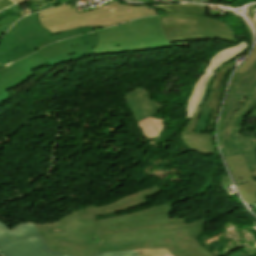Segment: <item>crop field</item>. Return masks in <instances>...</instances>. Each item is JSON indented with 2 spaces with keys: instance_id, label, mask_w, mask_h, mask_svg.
<instances>
[{
  "instance_id": "1",
  "label": "crop field",
  "mask_w": 256,
  "mask_h": 256,
  "mask_svg": "<svg viewBox=\"0 0 256 256\" xmlns=\"http://www.w3.org/2000/svg\"><path fill=\"white\" fill-rule=\"evenodd\" d=\"M159 192L161 190L156 186L105 206H90L72 211L54 223L34 224L51 250L74 256H93L100 245L96 216L147 204L145 198Z\"/></svg>"
},
{
  "instance_id": "2",
  "label": "crop field",
  "mask_w": 256,
  "mask_h": 256,
  "mask_svg": "<svg viewBox=\"0 0 256 256\" xmlns=\"http://www.w3.org/2000/svg\"><path fill=\"white\" fill-rule=\"evenodd\" d=\"M246 114L256 116V60L245 75L235 74L218 128L224 157L242 153L256 179V137L240 133L247 121Z\"/></svg>"
},
{
  "instance_id": "3",
  "label": "crop field",
  "mask_w": 256,
  "mask_h": 256,
  "mask_svg": "<svg viewBox=\"0 0 256 256\" xmlns=\"http://www.w3.org/2000/svg\"><path fill=\"white\" fill-rule=\"evenodd\" d=\"M205 221L103 233L96 253L167 247L174 256H214L194 238L204 231Z\"/></svg>"
},
{
  "instance_id": "4",
  "label": "crop field",
  "mask_w": 256,
  "mask_h": 256,
  "mask_svg": "<svg viewBox=\"0 0 256 256\" xmlns=\"http://www.w3.org/2000/svg\"><path fill=\"white\" fill-rule=\"evenodd\" d=\"M97 39L98 36L93 33L80 35L73 39L43 47L35 54L26 57L7 68L0 65V103L12 96L7 90L22 84L27 79L35 76L30 69L48 61L52 67H54L68 63L74 57L94 55L90 46H95ZM21 66H23V68H21Z\"/></svg>"
},
{
  "instance_id": "5",
  "label": "crop field",
  "mask_w": 256,
  "mask_h": 256,
  "mask_svg": "<svg viewBox=\"0 0 256 256\" xmlns=\"http://www.w3.org/2000/svg\"><path fill=\"white\" fill-rule=\"evenodd\" d=\"M107 7V8H105ZM157 15L145 7H129L120 1L77 15L74 3L61 5L43 12L38 17L42 27L52 35L80 27H109L123 21L143 16Z\"/></svg>"
},
{
  "instance_id": "6",
  "label": "crop field",
  "mask_w": 256,
  "mask_h": 256,
  "mask_svg": "<svg viewBox=\"0 0 256 256\" xmlns=\"http://www.w3.org/2000/svg\"><path fill=\"white\" fill-rule=\"evenodd\" d=\"M94 33L100 36L99 44L94 48L99 55L171 47L160 25L145 26L142 18Z\"/></svg>"
},
{
  "instance_id": "7",
  "label": "crop field",
  "mask_w": 256,
  "mask_h": 256,
  "mask_svg": "<svg viewBox=\"0 0 256 256\" xmlns=\"http://www.w3.org/2000/svg\"><path fill=\"white\" fill-rule=\"evenodd\" d=\"M169 43L219 38L237 43L236 35L218 19L191 14L166 13L160 16Z\"/></svg>"
},
{
  "instance_id": "8",
  "label": "crop field",
  "mask_w": 256,
  "mask_h": 256,
  "mask_svg": "<svg viewBox=\"0 0 256 256\" xmlns=\"http://www.w3.org/2000/svg\"><path fill=\"white\" fill-rule=\"evenodd\" d=\"M36 14L19 20L0 41V63L16 61L33 53L40 47L55 42V39L40 28Z\"/></svg>"
},
{
  "instance_id": "9",
  "label": "crop field",
  "mask_w": 256,
  "mask_h": 256,
  "mask_svg": "<svg viewBox=\"0 0 256 256\" xmlns=\"http://www.w3.org/2000/svg\"><path fill=\"white\" fill-rule=\"evenodd\" d=\"M0 254L3 256H70L51 251L33 222H17L10 230L1 220Z\"/></svg>"
},
{
  "instance_id": "10",
  "label": "crop field",
  "mask_w": 256,
  "mask_h": 256,
  "mask_svg": "<svg viewBox=\"0 0 256 256\" xmlns=\"http://www.w3.org/2000/svg\"><path fill=\"white\" fill-rule=\"evenodd\" d=\"M170 203L145 211L133 212L126 215L97 220L100 233L141 228L155 225H163L181 222L187 224L184 219H170Z\"/></svg>"
},
{
  "instance_id": "11",
  "label": "crop field",
  "mask_w": 256,
  "mask_h": 256,
  "mask_svg": "<svg viewBox=\"0 0 256 256\" xmlns=\"http://www.w3.org/2000/svg\"><path fill=\"white\" fill-rule=\"evenodd\" d=\"M225 159L245 202L248 205L256 203V182L249 172L242 155Z\"/></svg>"
},
{
  "instance_id": "12",
  "label": "crop field",
  "mask_w": 256,
  "mask_h": 256,
  "mask_svg": "<svg viewBox=\"0 0 256 256\" xmlns=\"http://www.w3.org/2000/svg\"><path fill=\"white\" fill-rule=\"evenodd\" d=\"M148 97L149 92L140 87L128 93L125 98L130 112L137 123L163 109L161 105L149 101Z\"/></svg>"
},
{
  "instance_id": "13",
  "label": "crop field",
  "mask_w": 256,
  "mask_h": 256,
  "mask_svg": "<svg viewBox=\"0 0 256 256\" xmlns=\"http://www.w3.org/2000/svg\"><path fill=\"white\" fill-rule=\"evenodd\" d=\"M232 69H233L232 67L226 65L225 68L219 69L214 77L213 84L210 89H215V90L209 106V108L213 109V111H212L207 132H213L216 117L218 114V108L222 98V93L225 87V82L228 78L229 73L232 71Z\"/></svg>"
},
{
  "instance_id": "14",
  "label": "crop field",
  "mask_w": 256,
  "mask_h": 256,
  "mask_svg": "<svg viewBox=\"0 0 256 256\" xmlns=\"http://www.w3.org/2000/svg\"><path fill=\"white\" fill-rule=\"evenodd\" d=\"M214 74H213V76H214ZM213 76L209 79V81L206 85V90H205L203 99H202V101L199 105V106H202L203 108H202V110L200 112V116L198 118V122H197V125H196V128H195V133L206 132V129H207L208 121H209L210 114H211V111H212V110H209L207 108H208V105H209L210 98L213 94V90H209V88L212 84Z\"/></svg>"
},
{
  "instance_id": "15",
  "label": "crop field",
  "mask_w": 256,
  "mask_h": 256,
  "mask_svg": "<svg viewBox=\"0 0 256 256\" xmlns=\"http://www.w3.org/2000/svg\"><path fill=\"white\" fill-rule=\"evenodd\" d=\"M249 46L246 45L244 42L235 45L231 48L224 49L218 53L215 54V57L211 59V63L207 69H205L204 72H210L216 69L220 64L232 59L236 55L240 54L244 50H246Z\"/></svg>"
},
{
  "instance_id": "16",
  "label": "crop field",
  "mask_w": 256,
  "mask_h": 256,
  "mask_svg": "<svg viewBox=\"0 0 256 256\" xmlns=\"http://www.w3.org/2000/svg\"><path fill=\"white\" fill-rule=\"evenodd\" d=\"M211 74L212 73L202 75L200 79L196 82L194 86V90L187 101V117H186L187 120L193 116L194 111L202 96L206 81L208 80Z\"/></svg>"
},
{
  "instance_id": "17",
  "label": "crop field",
  "mask_w": 256,
  "mask_h": 256,
  "mask_svg": "<svg viewBox=\"0 0 256 256\" xmlns=\"http://www.w3.org/2000/svg\"><path fill=\"white\" fill-rule=\"evenodd\" d=\"M155 8L164 10L166 12H181V13H192L204 16L205 6L200 5H161L154 6Z\"/></svg>"
},
{
  "instance_id": "18",
  "label": "crop field",
  "mask_w": 256,
  "mask_h": 256,
  "mask_svg": "<svg viewBox=\"0 0 256 256\" xmlns=\"http://www.w3.org/2000/svg\"><path fill=\"white\" fill-rule=\"evenodd\" d=\"M137 251L139 256H173L166 248H152Z\"/></svg>"
},
{
  "instance_id": "19",
  "label": "crop field",
  "mask_w": 256,
  "mask_h": 256,
  "mask_svg": "<svg viewBox=\"0 0 256 256\" xmlns=\"http://www.w3.org/2000/svg\"><path fill=\"white\" fill-rule=\"evenodd\" d=\"M90 31H92L91 27L90 28H81V29L70 31V32L54 35V37L56 38L57 41H60V40L70 38V37H73V36H76L79 34H83L86 32H90Z\"/></svg>"
},
{
  "instance_id": "20",
  "label": "crop field",
  "mask_w": 256,
  "mask_h": 256,
  "mask_svg": "<svg viewBox=\"0 0 256 256\" xmlns=\"http://www.w3.org/2000/svg\"><path fill=\"white\" fill-rule=\"evenodd\" d=\"M94 256H138L136 250L95 254Z\"/></svg>"
},
{
  "instance_id": "21",
  "label": "crop field",
  "mask_w": 256,
  "mask_h": 256,
  "mask_svg": "<svg viewBox=\"0 0 256 256\" xmlns=\"http://www.w3.org/2000/svg\"><path fill=\"white\" fill-rule=\"evenodd\" d=\"M255 58H256V47L252 52L251 56L247 59V61L244 64H242L241 67L238 69V72L244 74L245 71L249 68V66L253 63Z\"/></svg>"
},
{
  "instance_id": "22",
  "label": "crop field",
  "mask_w": 256,
  "mask_h": 256,
  "mask_svg": "<svg viewBox=\"0 0 256 256\" xmlns=\"http://www.w3.org/2000/svg\"><path fill=\"white\" fill-rule=\"evenodd\" d=\"M13 20H19L18 17L7 16L0 20V25L13 23Z\"/></svg>"
},
{
  "instance_id": "23",
  "label": "crop field",
  "mask_w": 256,
  "mask_h": 256,
  "mask_svg": "<svg viewBox=\"0 0 256 256\" xmlns=\"http://www.w3.org/2000/svg\"><path fill=\"white\" fill-rule=\"evenodd\" d=\"M146 25L159 23L158 16L143 18Z\"/></svg>"
},
{
  "instance_id": "24",
  "label": "crop field",
  "mask_w": 256,
  "mask_h": 256,
  "mask_svg": "<svg viewBox=\"0 0 256 256\" xmlns=\"http://www.w3.org/2000/svg\"><path fill=\"white\" fill-rule=\"evenodd\" d=\"M49 2L48 0L34 1L31 2L35 9L39 8L42 4Z\"/></svg>"
},
{
  "instance_id": "25",
  "label": "crop field",
  "mask_w": 256,
  "mask_h": 256,
  "mask_svg": "<svg viewBox=\"0 0 256 256\" xmlns=\"http://www.w3.org/2000/svg\"><path fill=\"white\" fill-rule=\"evenodd\" d=\"M11 26L7 27V28H4L2 30H0V38L3 36L4 33L7 32V30L10 28Z\"/></svg>"
},
{
  "instance_id": "26",
  "label": "crop field",
  "mask_w": 256,
  "mask_h": 256,
  "mask_svg": "<svg viewBox=\"0 0 256 256\" xmlns=\"http://www.w3.org/2000/svg\"><path fill=\"white\" fill-rule=\"evenodd\" d=\"M230 256H246L245 254L241 253L240 251L230 255Z\"/></svg>"
},
{
  "instance_id": "27",
  "label": "crop field",
  "mask_w": 256,
  "mask_h": 256,
  "mask_svg": "<svg viewBox=\"0 0 256 256\" xmlns=\"http://www.w3.org/2000/svg\"><path fill=\"white\" fill-rule=\"evenodd\" d=\"M187 1H199V2H207V1H214V0H187Z\"/></svg>"
},
{
  "instance_id": "28",
  "label": "crop field",
  "mask_w": 256,
  "mask_h": 256,
  "mask_svg": "<svg viewBox=\"0 0 256 256\" xmlns=\"http://www.w3.org/2000/svg\"><path fill=\"white\" fill-rule=\"evenodd\" d=\"M7 26H9V25H5V26H0V29H2V28H4V27H7Z\"/></svg>"
},
{
  "instance_id": "29",
  "label": "crop field",
  "mask_w": 256,
  "mask_h": 256,
  "mask_svg": "<svg viewBox=\"0 0 256 256\" xmlns=\"http://www.w3.org/2000/svg\"><path fill=\"white\" fill-rule=\"evenodd\" d=\"M2 1V0H1Z\"/></svg>"
}]
</instances>
